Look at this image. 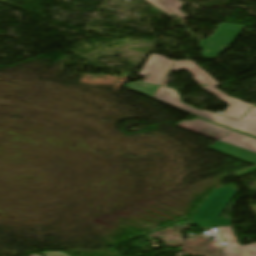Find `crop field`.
I'll return each instance as SVG.
<instances>
[{
  "label": "crop field",
  "instance_id": "crop-field-1",
  "mask_svg": "<svg viewBox=\"0 0 256 256\" xmlns=\"http://www.w3.org/2000/svg\"><path fill=\"white\" fill-rule=\"evenodd\" d=\"M154 98L165 104L188 112L192 115L236 129L238 131L256 137V107H253L241 120L237 121L234 119L215 115L208 111H199L192 107L186 106L180 103L176 91L169 88L159 87L154 95Z\"/></svg>",
  "mask_w": 256,
  "mask_h": 256
},
{
  "label": "crop field",
  "instance_id": "crop-field-2",
  "mask_svg": "<svg viewBox=\"0 0 256 256\" xmlns=\"http://www.w3.org/2000/svg\"><path fill=\"white\" fill-rule=\"evenodd\" d=\"M186 69L191 75L194 76V80L199 84H208L209 86L203 87L204 90L210 92L215 95L219 99L224 102L230 104L227 110L224 112L223 116L231 117V118H240L243 113L252 106V104L244 103L238 99L229 97L224 93L214 89L215 86L219 85V83L214 80L209 74H207L204 70L198 67L192 61H177L164 78L161 86L166 87L165 83L171 73V71Z\"/></svg>",
  "mask_w": 256,
  "mask_h": 256
},
{
  "label": "crop field",
  "instance_id": "crop-field-3",
  "mask_svg": "<svg viewBox=\"0 0 256 256\" xmlns=\"http://www.w3.org/2000/svg\"><path fill=\"white\" fill-rule=\"evenodd\" d=\"M238 190L232 188H217L200 205L191 217L193 224L199 227L231 226L229 218H217L226 208Z\"/></svg>",
  "mask_w": 256,
  "mask_h": 256
},
{
  "label": "crop field",
  "instance_id": "crop-field-4",
  "mask_svg": "<svg viewBox=\"0 0 256 256\" xmlns=\"http://www.w3.org/2000/svg\"><path fill=\"white\" fill-rule=\"evenodd\" d=\"M209 148L241 161L256 164V138L242 133L234 131Z\"/></svg>",
  "mask_w": 256,
  "mask_h": 256
},
{
  "label": "crop field",
  "instance_id": "crop-field-5",
  "mask_svg": "<svg viewBox=\"0 0 256 256\" xmlns=\"http://www.w3.org/2000/svg\"><path fill=\"white\" fill-rule=\"evenodd\" d=\"M243 27L241 25L220 23L213 36L199 42V46L203 48L202 56L207 58L217 57L230 46ZM206 49L209 52H206Z\"/></svg>",
  "mask_w": 256,
  "mask_h": 256
},
{
  "label": "crop field",
  "instance_id": "crop-field-6",
  "mask_svg": "<svg viewBox=\"0 0 256 256\" xmlns=\"http://www.w3.org/2000/svg\"><path fill=\"white\" fill-rule=\"evenodd\" d=\"M173 64L174 62L165 57L151 54L138 75L145 77L147 73H151L152 75L149 78L146 77L144 82L160 85Z\"/></svg>",
  "mask_w": 256,
  "mask_h": 256
},
{
  "label": "crop field",
  "instance_id": "crop-field-7",
  "mask_svg": "<svg viewBox=\"0 0 256 256\" xmlns=\"http://www.w3.org/2000/svg\"><path fill=\"white\" fill-rule=\"evenodd\" d=\"M176 126L185 128L187 130L205 135L216 140L233 131L227 128L217 126L200 118L196 120L182 121Z\"/></svg>",
  "mask_w": 256,
  "mask_h": 256
},
{
  "label": "crop field",
  "instance_id": "crop-field-8",
  "mask_svg": "<svg viewBox=\"0 0 256 256\" xmlns=\"http://www.w3.org/2000/svg\"><path fill=\"white\" fill-rule=\"evenodd\" d=\"M225 241L229 244L224 247L229 256H256V244L239 246L234 237Z\"/></svg>",
  "mask_w": 256,
  "mask_h": 256
},
{
  "label": "crop field",
  "instance_id": "crop-field-9",
  "mask_svg": "<svg viewBox=\"0 0 256 256\" xmlns=\"http://www.w3.org/2000/svg\"><path fill=\"white\" fill-rule=\"evenodd\" d=\"M126 87L153 99V95L159 86L135 82L128 84Z\"/></svg>",
  "mask_w": 256,
  "mask_h": 256
},
{
  "label": "crop field",
  "instance_id": "crop-field-10",
  "mask_svg": "<svg viewBox=\"0 0 256 256\" xmlns=\"http://www.w3.org/2000/svg\"><path fill=\"white\" fill-rule=\"evenodd\" d=\"M164 5L171 10L172 12H174L175 14H177L179 17L183 18V17H187L185 14H183L182 12H180L178 9L180 7H182L181 3L179 0H161Z\"/></svg>",
  "mask_w": 256,
  "mask_h": 256
},
{
  "label": "crop field",
  "instance_id": "crop-field-11",
  "mask_svg": "<svg viewBox=\"0 0 256 256\" xmlns=\"http://www.w3.org/2000/svg\"><path fill=\"white\" fill-rule=\"evenodd\" d=\"M218 229L221 232L223 238L234 236L231 227H218Z\"/></svg>",
  "mask_w": 256,
  "mask_h": 256
},
{
  "label": "crop field",
  "instance_id": "crop-field-12",
  "mask_svg": "<svg viewBox=\"0 0 256 256\" xmlns=\"http://www.w3.org/2000/svg\"><path fill=\"white\" fill-rule=\"evenodd\" d=\"M150 3L154 4L155 6L161 8L163 11H165L166 13L170 14V15H174L172 12H170L168 9H166L159 0H147ZM160 9V10H161Z\"/></svg>",
  "mask_w": 256,
  "mask_h": 256
},
{
  "label": "crop field",
  "instance_id": "crop-field-13",
  "mask_svg": "<svg viewBox=\"0 0 256 256\" xmlns=\"http://www.w3.org/2000/svg\"><path fill=\"white\" fill-rule=\"evenodd\" d=\"M44 255L45 256H67L62 252H45Z\"/></svg>",
  "mask_w": 256,
  "mask_h": 256
}]
</instances>
